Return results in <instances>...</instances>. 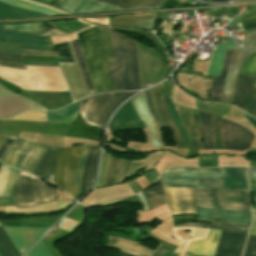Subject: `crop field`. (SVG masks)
<instances>
[{"instance_id":"24","label":"crop field","mask_w":256,"mask_h":256,"mask_svg":"<svg viewBox=\"0 0 256 256\" xmlns=\"http://www.w3.org/2000/svg\"><path fill=\"white\" fill-rule=\"evenodd\" d=\"M78 104L79 102L73 103L61 110L48 112L47 121L71 124V122L78 113Z\"/></svg>"},{"instance_id":"42","label":"crop field","mask_w":256,"mask_h":256,"mask_svg":"<svg viewBox=\"0 0 256 256\" xmlns=\"http://www.w3.org/2000/svg\"><path fill=\"white\" fill-rule=\"evenodd\" d=\"M99 151L95 149V152L93 154L92 160L89 165L88 169V175H87V183H86V191L88 188L94 183L95 180V174H96V166H97V160H98Z\"/></svg>"},{"instance_id":"5","label":"crop field","mask_w":256,"mask_h":256,"mask_svg":"<svg viewBox=\"0 0 256 256\" xmlns=\"http://www.w3.org/2000/svg\"><path fill=\"white\" fill-rule=\"evenodd\" d=\"M197 206L250 211L248 190L193 189Z\"/></svg>"},{"instance_id":"40","label":"crop field","mask_w":256,"mask_h":256,"mask_svg":"<svg viewBox=\"0 0 256 256\" xmlns=\"http://www.w3.org/2000/svg\"><path fill=\"white\" fill-rule=\"evenodd\" d=\"M107 63H108L109 71H110L111 78L113 81L114 89L115 90H124L122 81L120 78V74H119V71L117 68L116 61L115 60H107Z\"/></svg>"},{"instance_id":"10","label":"crop field","mask_w":256,"mask_h":256,"mask_svg":"<svg viewBox=\"0 0 256 256\" xmlns=\"http://www.w3.org/2000/svg\"><path fill=\"white\" fill-rule=\"evenodd\" d=\"M172 214H195L196 198L192 188H165Z\"/></svg>"},{"instance_id":"45","label":"crop field","mask_w":256,"mask_h":256,"mask_svg":"<svg viewBox=\"0 0 256 256\" xmlns=\"http://www.w3.org/2000/svg\"><path fill=\"white\" fill-rule=\"evenodd\" d=\"M93 149H94L93 147H90V149L87 153L86 159L84 161V165H83V169H82V175H81L80 195L85 192L86 174H87V169H88L89 162H90L91 157H92Z\"/></svg>"},{"instance_id":"38","label":"crop field","mask_w":256,"mask_h":256,"mask_svg":"<svg viewBox=\"0 0 256 256\" xmlns=\"http://www.w3.org/2000/svg\"><path fill=\"white\" fill-rule=\"evenodd\" d=\"M46 112L44 111H26L15 117L4 119V120H35L45 121Z\"/></svg>"},{"instance_id":"47","label":"crop field","mask_w":256,"mask_h":256,"mask_svg":"<svg viewBox=\"0 0 256 256\" xmlns=\"http://www.w3.org/2000/svg\"><path fill=\"white\" fill-rule=\"evenodd\" d=\"M26 256H52L49 250L41 241L30 253Z\"/></svg>"},{"instance_id":"61","label":"crop field","mask_w":256,"mask_h":256,"mask_svg":"<svg viewBox=\"0 0 256 256\" xmlns=\"http://www.w3.org/2000/svg\"><path fill=\"white\" fill-rule=\"evenodd\" d=\"M145 92H146V96H147V100H148V103H149V107H150V109H151V112H152L154 118L156 119L157 123L159 124L160 128H162V125H161L160 121L158 120V118L156 117V115H155V113H154V111H153V109H152V105H151L149 93H148L147 91H145Z\"/></svg>"},{"instance_id":"9","label":"crop field","mask_w":256,"mask_h":256,"mask_svg":"<svg viewBox=\"0 0 256 256\" xmlns=\"http://www.w3.org/2000/svg\"><path fill=\"white\" fill-rule=\"evenodd\" d=\"M4 231L23 255L48 229V227H3Z\"/></svg>"},{"instance_id":"75","label":"crop field","mask_w":256,"mask_h":256,"mask_svg":"<svg viewBox=\"0 0 256 256\" xmlns=\"http://www.w3.org/2000/svg\"><path fill=\"white\" fill-rule=\"evenodd\" d=\"M255 51H256V48H255Z\"/></svg>"},{"instance_id":"70","label":"crop field","mask_w":256,"mask_h":256,"mask_svg":"<svg viewBox=\"0 0 256 256\" xmlns=\"http://www.w3.org/2000/svg\"><path fill=\"white\" fill-rule=\"evenodd\" d=\"M207 1H213V2H227L228 0H207Z\"/></svg>"},{"instance_id":"63","label":"crop field","mask_w":256,"mask_h":256,"mask_svg":"<svg viewBox=\"0 0 256 256\" xmlns=\"http://www.w3.org/2000/svg\"><path fill=\"white\" fill-rule=\"evenodd\" d=\"M165 252L173 253V250L168 249H158L155 256H163Z\"/></svg>"},{"instance_id":"65","label":"crop field","mask_w":256,"mask_h":256,"mask_svg":"<svg viewBox=\"0 0 256 256\" xmlns=\"http://www.w3.org/2000/svg\"><path fill=\"white\" fill-rule=\"evenodd\" d=\"M243 116L256 128V120L249 117L247 114H243Z\"/></svg>"},{"instance_id":"71","label":"crop field","mask_w":256,"mask_h":256,"mask_svg":"<svg viewBox=\"0 0 256 256\" xmlns=\"http://www.w3.org/2000/svg\"><path fill=\"white\" fill-rule=\"evenodd\" d=\"M119 256H132V255H129V254H126V253L120 251V255Z\"/></svg>"},{"instance_id":"39","label":"crop field","mask_w":256,"mask_h":256,"mask_svg":"<svg viewBox=\"0 0 256 256\" xmlns=\"http://www.w3.org/2000/svg\"><path fill=\"white\" fill-rule=\"evenodd\" d=\"M18 172V170L12 167L10 168L9 175L4 187L3 197H13Z\"/></svg>"},{"instance_id":"33","label":"crop field","mask_w":256,"mask_h":256,"mask_svg":"<svg viewBox=\"0 0 256 256\" xmlns=\"http://www.w3.org/2000/svg\"><path fill=\"white\" fill-rule=\"evenodd\" d=\"M115 247L138 256H150L152 254L151 251L145 249L143 246L139 244L125 242L121 240H118Z\"/></svg>"},{"instance_id":"68","label":"crop field","mask_w":256,"mask_h":256,"mask_svg":"<svg viewBox=\"0 0 256 256\" xmlns=\"http://www.w3.org/2000/svg\"><path fill=\"white\" fill-rule=\"evenodd\" d=\"M251 183H252L253 194L256 195V181H251Z\"/></svg>"},{"instance_id":"51","label":"crop field","mask_w":256,"mask_h":256,"mask_svg":"<svg viewBox=\"0 0 256 256\" xmlns=\"http://www.w3.org/2000/svg\"><path fill=\"white\" fill-rule=\"evenodd\" d=\"M15 140H16L15 137L7 136V138L5 139V141L3 142V144L0 147V161L3 158V156L6 154L8 149L12 146V144Z\"/></svg>"},{"instance_id":"67","label":"crop field","mask_w":256,"mask_h":256,"mask_svg":"<svg viewBox=\"0 0 256 256\" xmlns=\"http://www.w3.org/2000/svg\"><path fill=\"white\" fill-rule=\"evenodd\" d=\"M163 82H164V84L167 86L168 90H169L170 92H172L174 85L171 83V81H170V80H165V81H163Z\"/></svg>"},{"instance_id":"4","label":"crop field","mask_w":256,"mask_h":256,"mask_svg":"<svg viewBox=\"0 0 256 256\" xmlns=\"http://www.w3.org/2000/svg\"><path fill=\"white\" fill-rule=\"evenodd\" d=\"M54 200H57L54 187L33 175L19 172L14 194L15 207L33 206Z\"/></svg>"},{"instance_id":"22","label":"crop field","mask_w":256,"mask_h":256,"mask_svg":"<svg viewBox=\"0 0 256 256\" xmlns=\"http://www.w3.org/2000/svg\"><path fill=\"white\" fill-rule=\"evenodd\" d=\"M101 3L118 7L117 10L124 9H150L158 8L163 0H94Z\"/></svg>"},{"instance_id":"20","label":"crop field","mask_w":256,"mask_h":256,"mask_svg":"<svg viewBox=\"0 0 256 256\" xmlns=\"http://www.w3.org/2000/svg\"><path fill=\"white\" fill-rule=\"evenodd\" d=\"M20 138V137H19ZM17 138L1 162L18 168L34 142Z\"/></svg>"},{"instance_id":"14","label":"crop field","mask_w":256,"mask_h":256,"mask_svg":"<svg viewBox=\"0 0 256 256\" xmlns=\"http://www.w3.org/2000/svg\"><path fill=\"white\" fill-rule=\"evenodd\" d=\"M247 234L222 231L215 256H240Z\"/></svg>"},{"instance_id":"74","label":"crop field","mask_w":256,"mask_h":256,"mask_svg":"<svg viewBox=\"0 0 256 256\" xmlns=\"http://www.w3.org/2000/svg\"><path fill=\"white\" fill-rule=\"evenodd\" d=\"M254 211H256V206H255V209H254Z\"/></svg>"},{"instance_id":"28","label":"crop field","mask_w":256,"mask_h":256,"mask_svg":"<svg viewBox=\"0 0 256 256\" xmlns=\"http://www.w3.org/2000/svg\"><path fill=\"white\" fill-rule=\"evenodd\" d=\"M0 27L14 30V31L41 34L55 26L49 22H37V23L21 24V25H0Z\"/></svg>"},{"instance_id":"26","label":"crop field","mask_w":256,"mask_h":256,"mask_svg":"<svg viewBox=\"0 0 256 256\" xmlns=\"http://www.w3.org/2000/svg\"><path fill=\"white\" fill-rule=\"evenodd\" d=\"M154 94H155L158 110H159L163 120L165 121V123L171 128V130L173 132V136L176 141V146L182 147L181 135H180L177 127L174 125V123L172 122L171 118L168 115L167 109L165 107L163 94L157 93V92H154Z\"/></svg>"},{"instance_id":"62","label":"crop field","mask_w":256,"mask_h":256,"mask_svg":"<svg viewBox=\"0 0 256 256\" xmlns=\"http://www.w3.org/2000/svg\"><path fill=\"white\" fill-rule=\"evenodd\" d=\"M255 7H256V6L250 8V9H248V10H251V9H253V8H255ZM246 11H247V10H246ZM244 13H245V11H244L241 15H239L238 17L234 18V19L230 22V24L239 23V21L242 19L243 15H244ZM230 24H229V25H230Z\"/></svg>"},{"instance_id":"23","label":"crop field","mask_w":256,"mask_h":256,"mask_svg":"<svg viewBox=\"0 0 256 256\" xmlns=\"http://www.w3.org/2000/svg\"><path fill=\"white\" fill-rule=\"evenodd\" d=\"M125 164V161L110 155L104 185L122 182Z\"/></svg>"},{"instance_id":"19","label":"crop field","mask_w":256,"mask_h":256,"mask_svg":"<svg viewBox=\"0 0 256 256\" xmlns=\"http://www.w3.org/2000/svg\"><path fill=\"white\" fill-rule=\"evenodd\" d=\"M59 150L60 148L48 147L42 159L40 160L37 167L33 171V174L54 183L53 176H54V171H55Z\"/></svg>"},{"instance_id":"49","label":"crop field","mask_w":256,"mask_h":256,"mask_svg":"<svg viewBox=\"0 0 256 256\" xmlns=\"http://www.w3.org/2000/svg\"><path fill=\"white\" fill-rule=\"evenodd\" d=\"M144 194L147 196L148 199L164 195L162 186H161V182H159V184L157 186L144 191Z\"/></svg>"},{"instance_id":"27","label":"crop field","mask_w":256,"mask_h":256,"mask_svg":"<svg viewBox=\"0 0 256 256\" xmlns=\"http://www.w3.org/2000/svg\"><path fill=\"white\" fill-rule=\"evenodd\" d=\"M46 148V146L35 143V145L32 147L28 155L19 166V169L32 173Z\"/></svg>"},{"instance_id":"25","label":"crop field","mask_w":256,"mask_h":256,"mask_svg":"<svg viewBox=\"0 0 256 256\" xmlns=\"http://www.w3.org/2000/svg\"><path fill=\"white\" fill-rule=\"evenodd\" d=\"M198 220L205 221V222H210V223H213V225L200 224V223H186L185 225L200 226V227H206V228H211V229H219V230L241 231V232H247L248 228L250 226V225H247V224H240V223H233V222H226V221H218V220H209V219H201V218H198Z\"/></svg>"},{"instance_id":"30","label":"crop field","mask_w":256,"mask_h":256,"mask_svg":"<svg viewBox=\"0 0 256 256\" xmlns=\"http://www.w3.org/2000/svg\"><path fill=\"white\" fill-rule=\"evenodd\" d=\"M235 46L236 44L230 39V37H229L228 44H221L217 46L209 75H217V76L220 75L226 50H234Z\"/></svg>"},{"instance_id":"8","label":"crop field","mask_w":256,"mask_h":256,"mask_svg":"<svg viewBox=\"0 0 256 256\" xmlns=\"http://www.w3.org/2000/svg\"><path fill=\"white\" fill-rule=\"evenodd\" d=\"M130 101L137 115L148 129L153 147L165 146L166 144L163 140L162 131L149 110L145 92L131 98Z\"/></svg>"},{"instance_id":"66","label":"crop field","mask_w":256,"mask_h":256,"mask_svg":"<svg viewBox=\"0 0 256 256\" xmlns=\"http://www.w3.org/2000/svg\"><path fill=\"white\" fill-rule=\"evenodd\" d=\"M250 179L256 180V168H250Z\"/></svg>"},{"instance_id":"53","label":"crop field","mask_w":256,"mask_h":256,"mask_svg":"<svg viewBox=\"0 0 256 256\" xmlns=\"http://www.w3.org/2000/svg\"><path fill=\"white\" fill-rule=\"evenodd\" d=\"M87 148H88V146H84V148H83L82 156H81V159H80V162H79V166H78V170H77V174H76L77 196H79L80 174H81L82 164H83L84 158L86 156Z\"/></svg>"},{"instance_id":"69","label":"crop field","mask_w":256,"mask_h":256,"mask_svg":"<svg viewBox=\"0 0 256 256\" xmlns=\"http://www.w3.org/2000/svg\"><path fill=\"white\" fill-rule=\"evenodd\" d=\"M6 138V136L5 135H1L0 134V145H1V143L3 142V140Z\"/></svg>"},{"instance_id":"44","label":"crop field","mask_w":256,"mask_h":256,"mask_svg":"<svg viewBox=\"0 0 256 256\" xmlns=\"http://www.w3.org/2000/svg\"><path fill=\"white\" fill-rule=\"evenodd\" d=\"M254 217H256V212H254ZM250 234L256 235V218H254V226ZM252 235L249 236V240H248V244H247L244 256H256V253H253L254 247L256 244V236H252Z\"/></svg>"},{"instance_id":"73","label":"crop field","mask_w":256,"mask_h":256,"mask_svg":"<svg viewBox=\"0 0 256 256\" xmlns=\"http://www.w3.org/2000/svg\"><path fill=\"white\" fill-rule=\"evenodd\" d=\"M255 204H256V196H254Z\"/></svg>"},{"instance_id":"18","label":"crop field","mask_w":256,"mask_h":256,"mask_svg":"<svg viewBox=\"0 0 256 256\" xmlns=\"http://www.w3.org/2000/svg\"><path fill=\"white\" fill-rule=\"evenodd\" d=\"M220 232L211 230L207 239L191 241L184 256H213Z\"/></svg>"},{"instance_id":"54","label":"crop field","mask_w":256,"mask_h":256,"mask_svg":"<svg viewBox=\"0 0 256 256\" xmlns=\"http://www.w3.org/2000/svg\"><path fill=\"white\" fill-rule=\"evenodd\" d=\"M9 168H10L9 166L3 165V164L1 165V168H0V197H2L3 186H4L5 178L7 176Z\"/></svg>"},{"instance_id":"7","label":"crop field","mask_w":256,"mask_h":256,"mask_svg":"<svg viewBox=\"0 0 256 256\" xmlns=\"http://www.w3.org/2000/svg\"><path fill=\"white\" fill-rule=\"evenodd\" d=\"M222 133L224 147L226 149L244 151L250 149L254 134L246 128L223 119Z\"/></svg>"},{"instance_id":"13","label":"crop field","mask_w":256,"mask_h":256,"mask_svg":"<svg viewBox=\"0 0 256 256\" xmlns=\"http://www.w3.org/2000/svg\"><path fill=\"white\" fill-rule=\"evenodd\" d=\"M178 113L181 117L182 123L187 130V134L190 138V148L203 149L201 143V134L198 126L200 125L198 112L192 108L176 105ZM197 118V123L195 116Z\"/></svg>"},{"instance_id":"57","label":"crop field","mask_w":256,"mask_h":256,"mask_svg":"<svg viewBox=\"0 0 256 256\" xmlns=\"http://www.w3.org/2000/svg\"><path fill=\"white\" fill-rule=\"evenodd\" d=\"M251 116L256 117V101L253 100L245 109Z\"/></svg>"},{"instance_id":"72","label":"crop field","mask_w":256,"mask_h":256,"mask_svg":"<svg viewBox=\"0 0 256 256\" xmlns=\"http://www.w3.org/2000/svg\"><path fill=\"white\" fill-rule=\"evenodd\" d=\"M164 256H178V254H169V253H165Z\"/></svg>"},{"instance_id":"60","label":"crop field","mask_w":256,"mask_h":256,"mask_svg":"<svg viewBox=\"0 0 256 256\" xmlns=\"http://www.w3.org/2000/svg\"><path fill=\"white\" fill-rule=\"evenodd\" d=\"M128 183L132 187V189L135 191V193L142 190L141 187L138 185V183L135 181V179L129 181Z\"/></svg>"},{"instance_id":"76","label":"crop field","mask_w":256,"mask_h":256,"mask_svg":"<svg viewBox=\"0 0 256 256\" xmlns=\"http://www.w3.org/2000/svg\"><path fill=\"white\" fill-rule=\"evenodd\" d=\"M0 256H1V254H0Z\"/></svg>"},{"instance_id":"50","label":"crop field","mask_w":256,"mask_h":256,"mask_svg":"<svg viewBox=\"0 0 256 256\" xmlns=\"http://www.w3.org/2000/svg\"><path fill=\"white\" fill-rule=\"evenodd\" d=\"M244 72L256 75V54L251 55ZM254 85H256V79Z\"/></svg>"},{"instance_id":"3","label":"crop field","mask_w":256,"mask_h":256,"mask_svg":"<svg viewBox=\"0 0 256 256\" xmlns=\"http://www.w3.org/2000/svg\"><path fill=\"white\" fill-rule=\"evenodd\" d=\"M136 92L98 94L81 100L79 111L84 121L104 128L113 110Z\"/></svg>"},{"instance_id":"12","label":"crop field","mask_w":256,"mask_h":256,"mask_svg":"<svg viewBox=\"0 0 256 256\" xmlns=\"http://www.w3.org/2000/svg\"><path fill=\"white\" fill-rule=\"evenodd\" d=\"M247 51L236 46L235 51L228 68V72L224 82L223 92L219 102L231 103L235 84L238 78V71L247 55ZM228 94V97H226Z\"/></svg>"},{"instance_id":"46","label":"crop field","mask_w":256,"mask_h":256,"mask_svg":"<svg viewBox=\"0 0 256 256\" xmlns=\"http://www.w3.org/2000/svg\"><path fill=\"white\" fill-rule=\"evenodd\" d=\"M144 166L145 164H137V163H132L127 161L125 173H124V180L134 176L136 171L144 168Z\"/></svg>"},{"instance_id":"59","label":"crop field","mask_w":256,"mask_h":256,"mask_svg":"<svg viewBox=\"0 0 256 256\" xmlns=\"http://www.w3.org/2000/svg\"><path fill=\"white\" fill-rule=\"evenodd\" d=\"M22 52H30V53H46V54H57V52H56V51L31 50V49H22Z\"/></svg>"},{"instance_id":"52","label":"crop field","mask_w":256,"mask_h":256,"mask_svg":"<svg viewBox=\"0 0 256 256\" xmlns=\"http://www.w3.org/2000/svg\"><path fill=\"white\" fill-rule=\"evenodd\" d=\"M255 45H256V32L247 33L243 47L253 50Z\"/></svg>"},{"instance_id":"2","label":"crop field","mask_w":256,"mask_h":256,"mask_svg":"<svg viewBox=\"0 0 256 256\" xmlns=\"http://www.w3.org/2000/svg\"><path fill=\"white\" fill-rule=\"evenodd\" d=\"M162 177L165 187L248 188L246 168H171Z\"/></svg>"},{"instance_id":"48","label":"crop field","mask_w":256,"mask_h":256,"mask_svg":"<svg viewBox=\"0 0 256 256\" xmlns=\"http://www.w3.org/2000/svg\"><path fill=\"white\" fill-rule=\"evenodd\" d=\"M109 154L103 152L102 155V161H101V167H100V175H99V181L97 183L96 187H100L103 184L106 168H107V162H108Z\"/></svg>"},{"instance_id":"35","label":"crop field","mask_w":256,"mask_h":256,"mask_svg":"<svg viewBox=\"0 0 256 256\" xmlns=\"http://www.w3.org/2000/svg\"><path fill=\"white\" fill-rule=\"evenodd\" d=\"M0 253L2 256H19L2 228L0 227Z\"/></svg>"},{"instance_id":"21","label":"crop field","mask_w":256,"mask_h":256,"mask_svg":"<svg viewBox=\"0 0 256 256\" xmlns=\"http://www.w3.org/2000/svg\"><path fill=\"white\" fill-rule=\"evenodd\" d=\"M198 215L218 219L250 223L251 214L238 211H222L198 208Z\"/></svg>"},{"instance_id":"55","label":"crop field","mask_w":256,"mask_h":256,"mask_svg":"<svg viewBox=\"0 0 256 256\" xmlns=\"http://www.w3.org/2000/svg\"><path fill=\"white\" fill-rule=\"evenodd\" d=\"M0 66L10 67V68L26 69L25 66H24V63L1 60V59H0Z\"/></svg>"},{"instance_id":"41","label":"crop field","mask_w":256,"mask_h":256,"mask_svg":"<svg viewBox=\"0 0 256 256\" xmlns=\"http://www.w3.org/2000/svg\"><path fill=\"white\" fill-rule=\"evenodd\" d=\"M244 32L256 30V8L245 13V17L240 22Z\"/></svg>"},{"instance_id":"34","label":"crop field","mask_w":256,"mask_h":256,"mask_svg":"<svg viewBox=\"0 0 256 256\" xmlns=\"http://www.w3.org/2000/svg\"><path fill=\"white\" fill-rule=\"evenodd\" d=\"M221 121L222 118L211 114V123L213 130L214 149H223V141L221 137Z\"/></svg>"},{"instance_id":"17","label":"crop field","mask_w":256,"mask_h":256,"mask_svg":"<svg viewBox=\"0 0 256 256\" xmlns=\"http://www.w3.org/2000/svg\"><path fill=\"white\" fill-rule=\"evenodd\" d=\"M156 15L155 13H149L115 16L109 25L115 27L152 29Z\"/></svg>"},{"instance_id":"16","label":"crop field","mask_w":256,"mask_h":256,"mask_svg":"<svg viewBox=\"0 0 256 256\" xmlns=\"http://www.w3.org/2000/svg\"><path fill=\"white\" fill-rule=\"evenodd\" d=\"M254 79L255 77L251 75H239L232 104L244 109L254 99L253 95L256 91V86L252 85Z\"/></svg>"},{"instance_id":"64","label":"crop field","mask_w":256,"mask_h":256,"mask_svg":"<svg viewBox=\"0 0 256 256\" xmlns=\"http://www.w3.org/2000/svg\"><path fill=\"white\" fill-rule=\"evenodd\" d=\"M25 64H37V65H54L58 66V63H41V62H24Z\"/></svg>"},{"instance_id":"43","label":"crop field","mask_w":256,"mask_h":256,"mask_svg":"<svg viewBox=\"0 0 256 256\" xmlns=\"http://www.w3.org/2000/svg\"><path fill=\"white\" fill-rule=\"evenodd\" d=\"M53 23H55L56 25H58L59 27H61L62 29L66 30L70 33L88 26V25L83 24L77 20L64 21V22H53Z\"/></svg>"},{"instance_id":"58","label":"crop field","mask_w":256,"mask_h":256,"mask_svg":"<svg viewBox=\"0 0 256 256\" xmlns=\"http://www.w3.org/2000/svg\"><path fill=\"white\" fill-rule=\"evenodd\" d=\"M0 206H14L13 198H0Z\"/></svg>"},{"instance_id":"6","label":"crop field","mask_w":256,"mask_h":256,"mask_svg":"<svg viewBox=\"0 0 256 256\" xmlns=\"http://www.w3.org/2000/svg\"><path fill=\"white\" fill-rule=\"evenodd\" d=\"M82 147L61 149L54 176L55 185L74 198H76L75 174Z\"/></svg>"},{"instance_id":"15","label":"crop field","mask_w":256,"mask_h":256,"mask_svg":"<svg viewBox=\"0 0 256 256\" xmlns=\"http://www.w3.org/2000/svg\"><path fill=\"white\" fill-rule=\"evenodd\" d=\"M0 40L21 42L22 48L48 50H51L52 48L50 36H32L0 29Z\"/></svg>"},{"instance_id":"32","label":"crop field","mask_w":256,"mask_h":256,"mask_svg":"<svg viewBox=\"0 0 256 256\" xmlns=\"http://www.w3.org/2000/svg\"><path fill=\"white\" fill-rule=\"evenodd\" d=\"M0 1L4 2V3H7L9 5H12V6H16V7L27 9V10L37 11V12L44 13V14H47V15L62 14V13H59L55 10L50 9V8L41 7V6H38L36 4L29 3V2H26V1H22V0H0Z\"/></svg>"},{"instance_id":"37","label":"crop field","mask_w":256,"mask_h":256,"mask_svg":"<svg viewBox=\"0 0 256 256\" xmlns=\"http://www.w3.org/2000/svg\"><path fill=\"white\" fill-rule=\"evenodd\" d=\"M72 43H73V46H74V50H75L78 62L80 64V67H81L82 72L84 74V77H85V80L87 82L88 88L90 90V93L93 94L95 92H94L93 86L91 84V81H90V78H89V75H88V72H87L84 60H83V56H82V53H81V50H80L79 42L78 41H74Z\"/></svg>"},{"instance_id":"36","label":"crop field","mask_w":256,"mask_h":256,"mask_svg":"<svg viewBox=\"0 0 256 256\" xmlns=\"http://www.w3.org/2000/svg\"><path fill=\"white\" fill-rule=\"evenodd\" d=\"M165 101H166V107L168 109V112H169L173 122L178 127V129L180 130V133L182 135L183 147L188 148L186 133H185L184 129L182 128L179 120L177 119V117L175 115L174 108H173V105H172V99L168 96H165Z\"/></svg>"},{"instance_id":"29","label":"crop field","mask_w":256,"mask_h":256,"mask_svg":"<svg viewBox=\"0 0 256 256\" xmlns=\"http://www.w3.org/2000/svg\"><path fill=\"white\" fill-rule=\"evenodd\" d=\"M233 51H227L226 52V56L224 59V63H223V67H222V71H221V75L220 77H215L214 79V83H213V87H212V91H211V95L209 100L210 101H219L221 92H222V88H223V82H224V78L227 72V68L231 59V55H232Z\"/></svg>"},{"instance_id":"1","label":"crop field","mask_w":256,"mask_h":256,"mask_svg":"<svg viewBox=\"0 0 256 256\" xmlns=\"http://www.w3.org/2000/svg\"><path fill=\"white\" fill-rule=\"evenodd\" d=\"M110 38L125 90L141 88L134 39L110 31ZM108 30L92 27L77 33L95 92L114 90L105 59H115Z\"/></svg>"},{"instance_id":"56","label":"crop field","mask_w":256,"mask_h":256,"mask_svg":"<svg viewBox=\"0 0 256 256\" xmlns=\"http://www.w3.org/2000/svg\"><path fill=\"white\" fill-rule=\"evenodd\" d=\"M0 58L7 59V60H13V61H22L21 54H14V53H6V52H0Z\"/></svg>"},{"instance_id":"11","label":"crop field","mask_w":256,"mask_h":256,"mask_svg":"<svg viewBox=\"0 0 256 256\" xmlns=\"http://www.w3.org/2000/svg\"><path fill=\"white\" fill-rule=\"evenodd\" d=\"M51 5L56 8L61 0H35ZM58 9L69 13H83L104 10H116V7L108 6L90 0H62L57 6Z\"/></svg>"},{"instance_id":"31","label":"crop field","mask_w":256,"mask_h":256,"mask_svg":"<svg viewBox=\"0 0 256 256\" xmlns=\"http://www.w3.org/2000/svg\"><path fill=\"white\" fill-rule=\"evenodd\" d=\"M201 126L199 127L201 130L204 149H212L213 147V139H212V130L210 123V114L203 113L199 111Z\"/></svg>"}]
</instances>
